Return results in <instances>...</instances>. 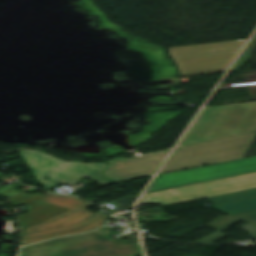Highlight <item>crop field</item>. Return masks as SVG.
<instances>
[{
    "instance_id": "1",
    "label": "crop field",
    "mask_w": 256,
    "mask_h": 256,
    "mask_svg": "<svg viewBox=\"0 0 256 256\" xmlns=\"http://www.w3.org/2000/svg\"><path fill=\"white\" fill-rule=\"evenodd\" d=\"M256 124V102L205 107L179 147L248 131Z\"/></svg>"
},
{
    "instance_id": "13",
    "label": "crop field",
    "mask_w": 256,
    "mask_h": 256,
    "mask_svg": "<svg viewBox=\"0 0 256 256\" xmlns=\"http://www.w3.org/2000/svg\"><path fill=\"white\" fill-rule=\"evenodd\" d=\"M42 201L52 203L55 205H59L65 208L72 209L74 207H77L79 205H82L86 203L83 200H80L78 198L72 197V196H58L54 194L47 193L43 198Z\"/></svg>"
},
{
    "instance_id": "16",
    "label": "crop field",
    "mask_w": 256,
    "mask_h": 256,
    "mask_svg": "<svg viewBox=\"0 0 256 256\" xmlns=\"http://www.w3.org/2000/svg\"><path fill=\"white\" fill-rule=\"evenodd\" d=\"M136 198H137L136 196H132V197L116 200L117 204L119 205L118 208L113 209V210L108 211V212L113 213V212H117V211L132 208L133 202Z\"/></svg>"
},
{
    "instance_id": "17",
    "label": "crop field",
    "mask_w": 256,
    "mask_h": 256,
    "mask_svg": "<svg viewBox=\"0 0 256 256\" xmlns=\"http://www.w3.org/2000/svg\"><path fill=\"white\" fill-rule=\"evenodd\" d=\"M170 50V49H169Z\"/></svg>"
},
{
    "instance_id": "3",
    "label": "crop field",
    "mask_w": 256,
    "mask_h": 256,
    "mask_svg": "<svg viewBox=\"0 0 256 256\" xmlns=\"http://www.w3.org/2000/svg\"><path fill=\"white\" fill-rule=\"evenodd\" d=\"M19 154L39 183L48 191L63 182L77 183L83 176L103 185L112 183L100 174L107 167L106 163L64 162L42 151L33 150H21ZM45 177L51 180L48 181L44 179Z\"/></svg>"
},
{
    "instance_id": "5",
    "label": "crop field",
    "mask_w": 256,
    "mask_h": 256,
    "mask_svg": "<svg viewBox=\"0 0 256 256\" xmlns=\"http://www.w3.org/2000/svg\"><path fill=\"white\" fill-rule=\"evenodd\" d=\"M255 171L256 156L158 176L148 193Z\"/></svg>"
},
{
    "instance_id": "4",
    "label": "crop field",
    "mask_w": 256,
    "mask_h": 256,
    "mask_svg": "<svg viewBox=\"0 0 256 256\" xmlns=\"http://www.w3.org/2000/svg\"><path fill=\"white\" fill-rule=\"evenodd\" d=\"M256 188V172L145 195L140 204H173Z\"/></svg>"
},
{
    "instance_id": "10",
    "label": "crop field",
    "mask_w": 256,
    "mask_h": 256,
    "mask_svg": "<svg viewBox=\"0 0 256 256\" xmlns=\"http://www.w3.org/2000/svg\"><path fill=\"white\" fill-rule=\"evenodd\" d=\"M91 204L87 203L72 210H69L59 216H56L48 221H45L41 224L33 226L29 229L22 231V234L67 227V226H74L81 222L82 220L86 219L90 215L94 214L86 209L85 207Z\"/></svg>"
},
{
    "instance_id": "14",
    "label": "crop field",
    "mask_w": 256,
    "mask_h": 256,
    "mask_svg": "<svg viewBox=\"0 0 256 256\" xmlns=\"http://www.w3.org/2000/svg\"><path fill=\"white\" fill-rule=\"evenodd\" d=\"M256 197V189L226 194V195H220L215 197H210L209 199L212 200L216 205L244 200V199H250Z\"/></svg>"
},
{
    "instance_id": "12",
    "label": "crop field",
    "mask_w": 256,
    "mask_h": 256,
    "mask_svg": "<svg viewBox=\"0 0 256 256\" xmlns=\"http://www.w3.org/2000/svg\"><path fill=\"white\" fill-rule=\"evenodd\" d=\"M215 208L225 212L228 215H234L250 210L256 209V198L250 200H244L224 205L216 206Z\"/></svg>"
},
{
    "instance_id": "6",
    "label": "crop field",
    "mask_w": 256,
    "mask_h": 256,
    "mask_svg": "<svg viewBox=\"0 0 256 256\" xmlns=\"http://www.w3.org/2000/svg\"><path fill=\"white\" fill-rule=\"evenodd\" d=\"M115 247L96 230L22 248L19 256H84Z\"/></svg>"
},
{
    "instance_id": "8",
    "label": "crop field",
    "mask_w": 256,
    "mask_h": 256,
    "mask_svg": "<svg viewBox=\"0 0 256 256\" xmlns=\"http://www.w3.org/2000/svg\"><path fill=\"white\" fill-rule=\"evenodd\" d=\"M107 218H108L107 215L99 211L74 227H67V228L25 234V235H22L23 245L36 243V242L52 239V238L63 236V235L81 233L86 230L100 226Z\"/></svg>"
},
{
    "instance_id": "9",
    "label": "crop field",
    "mask_w": 256,
    "mask_h": 256,
    "mask_svg": "<svg viewBox=\"0 0 256 256\" xmlns=\"http://www.w3.org/2000/svg\"><path fill=\"white\" fill-rule=\"evenodd\" d=\"M240 220L249 223L242 227L253 239H256V210H255V211H251V212H247V213H243L235 216L220 217L218 220H216L211 225H209L210 227L219 231L196 243H213L227 236L220 232Z\"/></svg>"
},
{
    "instance_id": "2",
    "label": "crop field",
    "mask_w": 256,
    "mask_h": 256,
    "mask_svg": "<svg viewBox=\"0 0 256 256\" xmlns=\"http://www.w3.org/2000/svg\"><path fill=\"white\" fill-rule=\"evenodd\" d=\"M255 137L256 125L252 132L176 149L159 174L244 158Z\"/></svg>"
},
{
    "instance_id": "15",
    "label": "crop field",
    "mask_w": 256,
    "mask_h": 256,
    "mask_svg": "<svg viewBox=\"0 0 256 256\" xmlns=\"http://www.w3.org/2000/svg\"><path fill=\"white\" fill-rule=\"evenodd\" d=\"M256 47V35L253 38V40L251 41V43L249 44V46L247 47V49L244 51V53L242 54V56L239 58V60L236 62V64L234 65V67L231 69V71L234 70H240V68L243 66V64L246 62V60L248 59V57L251 55V53L253 52V50Z\"/></svg>"
},
{
    "instance_id": "11",
    "label": "crop field",
    "mask_w": 256,
    "mask_h": 256,
    "mask_svg": "<svg viewBox=\"0 0 256 256\" xmlns=\"http://www.w3.org/2000/svg\"><path fill=\"white\" fill-rule=\"evenodd\" d=\"M118 248L99 252L88 256H138L142 250L138 238L113 242Z\"/></svg>"
},
{
    "instance_id": "7",
    "label": "crop field",
    "mask_w": 256,
    "mask_h": 256,
    "mask_svg": "<svg viewBox=\"0 0 256 256\" xmlns=\"http://www.w3.org/2000/svg\"><path fill=\"white\" fill-rule=\"evenodd\" d=\"M169 152L166 151L134 159L115 158L108 161L109 168L102 174L114 182L154 174Z\"/></svg>"
}]
</instances>
